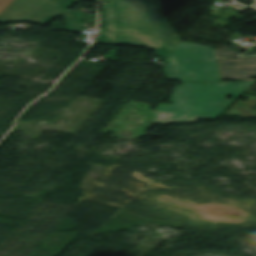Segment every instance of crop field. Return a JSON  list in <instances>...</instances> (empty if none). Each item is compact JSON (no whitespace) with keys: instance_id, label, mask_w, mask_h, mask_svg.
I'll return each mask as SVG.
<instances>
[{"instance_id":"1","label":"crop field","mask_w":256,"mask_h":256,"mask_svg":"<svg viewBox=\"0 0 256 256\" xmlns=\"http://www.w3.org/2000/svg\"><path fill=\"white\" fill-rule=\"evenodd\" d=\"M119 18H103L99 42L174 48L180 41L163 18L160 0H118Z\"/></svg>"},{"instance_id":"2","label":"crop field","mask_w":256,"mask_h":256,"mask_svg":"<svg viewBox=\"0 0 256 256\" xmlns=\"http://www.w3.org/2000/svg\"><path fill=\"white\" fill-rule=\"evenodd\" d=\"M254 82H183L171 98L172 105L159 104L152 123L193 122L215 119L234 103ZM231 88L230 90H228ZM233 96L232 100H227ZM218 118V117H217Z\"/></svg>"},{"instance_id":"3","label":"crop field","mask_w":256,"mask_h":256,"mask_svg":"<svg viewBox=\"0 0 256 256\" xmlns=\"http://www.w3.org/2000/svg\"><path fill=\"white\" fill-rule=\"evenodd\" d=\"M164 71L170 80L221 81L214 48L179 42L166 56Z\"/></svg>"},{"instance_id":"4","label":"crop field","mask_w":256,"mask_h":256,"mask_svg":"<svg viewBox=\"0 0 256 256\" xmlns=\"http://www.w3.org/2000/svg\"><path fill=\"white\" fill-rule=\"evenodd\" d=\"M79 0H15L1 14L0 23L47 25Z\"/></svg>"},{"instance_id":"5","label":"crop field","mask_w":256,"mask_h":256,"mask_svg":"<svg viewBox=\"0 0 256 256\" xmlns=\"http://www.w3.org/2000/svg\"><path fill=\"white\" fill-rule=\"evenodd\" d=\"M222 79H241L255 81L249 77H256V52L249 50L236 60H218ZM254 74V76H252Z\"/></svg>"},{"instance_id":"6","label":"crop field","mask_w":256,"mask_h":256,"mask_svg":"<svg viewBox=\"0 0 256 256\" xmlns=\"http://www.w3.org/2000/svg\"><path fill=\"white\" fill-rule=\"evenodd\" d=\"M248 97L247 102L236 101L235 104L223 115L229 116H241V117H256V97L255 96H246Z\"/></svg>"},{"instance_id":"7","label":"crop field","mask_w":256,"mask_h":256,"mask_svg":"<svg viewBox=\"0 0 256 256\" xmlns=\"http://www.w3.org/2000/svg\"><path fill=\"white\" fill-rule=\"evenodd\" d=\"M66 24L69 30L75 31L78 29H82L83 25V14L80 12L67 10L63 13Z\"/></svg>"},{"instance_id":"8","label":"crop field","mask_w":256,"mask_h":256,"mask_svg":"<svg viewBox=\"0 0 256 256\" xmlns=\"http://www.w3.org/2000/svg\"><path fill=\"white\" fill-rule=\"evenodd\" d=\"M102 1H113L114 5H106L102 7V16L103 17H118L117 11V0H102Z\"/></svg>"},{"instance_id":"9","label":"crop field","mask_w":256,"mask_h":256,"mask_svg":"<svg viewBox=\"0 0 256 256\" xmlns=\"http://www.w3.org/2000/svg\"><path fill=\"white\" fill-rule=\"evenodd\" d=\"M236 49V48H235ZM235 49L215 50L217 58L239 55L240 52Z\"/></svg>"},{"instance_id":"10","label":"crop field","mask_w":256,"mask_h":256,"mask_svg":"<svg viewBox=\"0 0 256 256\" xmlns=\"http://www.w3.org/2000/svg\"><path fill=\"white\" fill-rule=\"evenodd\" d=\"M172 49L170 48H161L157 47L154 51L157 52V55L165 57Z\"/></svg>"},{"instance_id":"11","label":"crop field","mask_w":256,"mask_h":256,"mask_svg":"<svg viewBox=\"0 0 256 256\" xmlns=\"http://www.w3.org/2000/svg\"><path fill=\"white\" fill-rule=\"evenodd\" d=\"M14 0H0V13Z\"/></svg>"},{"instance_id":"12","label":"crop field","mask_w":256,"mask_h":256,"mask_svg":"<svg viewBox=\"0 0 256 256\" xmlns=\"http://www.w3.org/2000/svg\"><path fill=\"white\" fill-rule=\"evenodd\" d=\"M254 1H255V3L251 7L256 9V0H254Z\"/></svg>"},{"instance_id":"13","label":"crop field","mask_w":256,"mask_h":256,"mask_svg":"<svg viewBox=\"0 0 256 256\" xmlns=\"http://www.w3.org/2000/svg\"><path fill=\"white\" fill-rule=\"evenodd\" d=\"M253 21H256V19H255V20H253ZM253 21H251V22H253Z\"/></svg>"}]
</instances>
